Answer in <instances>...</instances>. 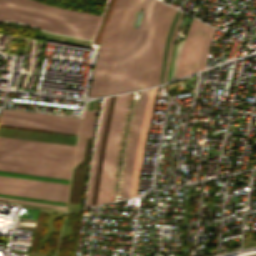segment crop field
<instances>
[{"label":"crop field","mask_w":256,"mask_h":256,"mask_svg":"<svg viewBox=\"0 0 256 256\" xmlns=\"http://www.w3.org/2000/svg\"><path fill=\"white\" fill-rule=\"evenodd\" d=\"M74 149L0 139V170L69 179Z\"/></svg>","instance_id":"3"},{"label":"crop field","mask_w":256,"mask_h":256,"mask_svg":"<svg viewBox=\"0 0 256 256\" xmlns=\"http://www.w3.org/2000/svg\"><path fill=\"white\" fill-rule=\"evenodd\" d=\"M215 29L212 27L209 28L208 33L206 35L204 45L202 48V53H201V58H200V64H199V69H203L205 67V63L207 61V54H208V48L210 46L211 39L213 37Z\"/></svg>","instance_id":"12"},{"label":"crop field","mask_w":256,"mask_h":256,"mask_svg":"<svg viewBox=\"0 0 256 256\" xmlns=\"http://www.w3.org/2000/svg\"><path fill=\"white\" fill-rule=\"evenodd\" d=\"M124 95H126V94L116 96L114 108H113V103H114L115 96L111 97V99H110L108 114H107V118H106L103 138H102L101 152H100L98 170H97V175H96V181H95L92 204L96 203V199H97V192H98V186H99V179H100V172H101L104 146H105L106 136H107V132H108L111 112H112V108H113L111 123H110L108 137H107L106 146H105V152H104V159H103V165H102V172H101V179H100V186H99L97 204H101V203L105 202L108 179H109V172H110V166H111V160H112L114 144H115V139H116V134H117V129H118V124H119V119H120V114H121V108H122ZM127 97H128V95L125 96V98H124L122 114H121V119H120V124H119L116 144H115L113 160H112V166H111V172H110V179H109L106 201L109 200V197H110V191H111V184H112V178H113L117 148H118L119 138H120L122 124H123V118H124V113H125V108H126ZM94 205H96V204H94Z\"/></svg>","instance_id":"4"},{"label":"crop field","mask_w":256,"mask_h":256,"mask_svg":"<svg viewBox=\"0 0 256 256\" xmlns=\"http://www.w3.org/2000/svg\"><path fill=\"white\" fill-rule=\"evenodd\" d=\"M183 40L178 44V50H177V54H176V60H175V65H174V69H173L172 79L175 78V76H176L177 67H178V63H179V58H180V54H181V46H182Z\"/></svg>","instance_id":"19"},{"label":"crop field","mask_w":256,"mask_h":256,"mask_svg":"<svg viewBox=\"0 0 256 256\" xmlns=\"http://www.w3.org/2000/svg\"><path fill=\"white\" fill-rule=\"evenodd\" d=\"M176 9L163 4L155 21L149 46L144 88L158 84L165 40Z\"/></svg>","instance_id":"6"},{"label":"crop field","mask_w":256,"mask_h":256,"mask_svg":"<svg viewBox=\"0 0 256 256\" xmlns=\"http://www.w3.org/2000/svg\"><path fill=\"white\" fill-rule=\"evenodd\" d=\"M95 113L84 112L82 119L74 166L82 160L85 137H91Z\"/></svg>","instance_id":"10"},{"label":"crop field","mask_w":256,"mask_h":256,"mask_svg":"<svg viewBox=\"0 0 256 256\" xmlns=\"http://www.w3.org/2000/svg\"><path fill=\"white\" fill-rule=\"evenodd\" d=\"M114 2H115V0H109L108 6H107V8H106V10L104 12V16H103L102 22L100 24V27H99V29L97 31V34H96L93 42H98L99 43L103 26H104L106 20L110 19V15H111V11H112V7H113Z\"/></svg>","instance_id":"14"},{"label":"crop field","mask_w":256,"mask_h":256,"mask_svg":"<svg viewBox=\"0 0 256 256\" xmlns=\"http://www.w3.org/2000/svg\"><path fill=\"white\" fill-rule=\"evenodd\" d=\"M0 197L66 206V203H63V202H56V201H49V200H42V199H34V198H27V197L13 196V195L0 194Z\"/></svg>","instance_id":"16"},{"label":"crop field","mask_w":256,"mask_h":256,"mask_svg":"<svg viewBox=\"0 0 256 256\" xmlns=\"http://www.w3.org/2000/svg\"><path fill=\"white\" fill-rule=\"evenodd\" d=\"M179 13H180V11L177 10V12L175 14V17H174V20H173V23H172V26H171V29H170V32H169L167 40H166L159 84L162 82V79H163V73H164V67H165V62H166L168 45H169V41H170V38H171V35H172V32H173L174 25H175V23L178 19Z\"/></svg>","instance_id":"15"},{"label":"crop field","mask_w":256,"mask_h":256,"mask_svg":"<svg viewBox=\"0 0 256 256\" xmlns=\"http://www.w3.org/2000/svg\"><path fill=\"white\" fill-rule=\"evenodd\" d=\"M81 118L2 109L0 124L77 133Z\"/></svg>","instance_id":"7"},{"label":"crop field","mask_w":256,"mask_h":256,"mask_svg":"<svg viewBox=\"0 0 256 256\" xmlns=\"http://www.w3.org/2000/svg\"><path fill=\"white\" fill-rule=\"evenodd\" d=\"M146 1L147 0H130L127 5L119 40H118L115 63H114V68H113L112 77H111V84H110L108 94L116 93L118 90L133 11L134 9L143 10ZM161 5L162 3L156 0H148L147 2L142 25L139 31V36H138V41H137V46H136V51L134 55V60H133V65H132V70H131L127 91L138 89L141 62H147L150 35H151L155 18L161 8ZM139 10L134 11L131 26L139 27L142 13H143V11H139ZM137 31L138 29H134V28L130 29L128 46H127V51H126V56H125V61H124V66H123V71H122V76H121V81H120V86L118 91L125 90L126 88L133 50H134L136 36H137ZM144 67H145V63H142L140 83H139V87L141 86V88L143 84Z\"/></svg>","instance_id":"1"},{"label":"crop field","mask_w":256,"mask_h":256,"mask_svg":"<svg viewBox=\"0 0 256 256\" xmlns=\"http://www.w3.org/2000/svg\"><path fill=\"white\" fill-rule=\"evenodd\" d=\"M127 3L128 0H116L111 19L104 26L90 88V97L104 95L108 92L116 44Z\"/></svg>","instance_id":"5"},{"label":"crop field","mask_w":256,"mask_h":256,"mask_svg":"<svg viewBox=\"0 0 256 256\" xmlns=\"http://www.w3.org/2000/svg\"><path fill=\"white\" fill-rule=\"evenodd\" d=\"M182 12L180 13V16H179V19L175 25V28H174V32H173V35H172V38H171V42H170V46H169V50H168V56H167V62H166V68H165V74H164V82H166V78H167V72H168V66H169V60H170V54H171V48H172V43H173V40H174V36H175V33L178 29V26H179V23H180V20H181V17H182Z\"/></svg>","instance_id":"17"},{"label":"crop field","mask_w":256,"mask_h":256,"mask_svg":"<svg viewBox=\"0 0 256 256\" xmlns=\"http://www.w3.org/2000/svg\"><path fill=\"white\" fill-rule=\"evenodd\" d=\"M156 91H157V87L152 88V90L149 91V94H148L145 116H144L141 133L139 137V142L137 146L136 161H135V167H134V173H133V179H132L129 197L137 195L143 156H144L149 126H150Z\"/></svg>","instance_id":"9"},{"label":"crop field","mask_w":256,"mask_h":256,"mask_svg":"<svg viewBox=\"0 0 256 256\" xmlns=\"http://www.w3.org/2000/svg\"><path fill=\"white\" fill-rule=\"evenodd\" d=\"M105 99H104V103H103V110H104V105H105ZM103 110H102V114H101V118H100V124H99V129H98V133H97V141H96V144H95V152H94L92 169H91V175H90V181H89V188H88V194H87L86 207H87V204H88V198H89V192H90V186H91V180H92V174H93V168H94V162H95V156H96V150H97V144H98V138H99V132H100V127H101V121H102V116H103Z\"/></svg>","instance_id":"18"},{"label":"crop field","mask_w":256,"mask_h":256,"mask_svg":"<svg viewBox=\"0 0 256 256\" xmlns=\"http://www.w3.org/2000/svg\"><path fill=\"white\" fill-rule=\"evenodd\" d=\"M99 18L33 0H0V21L15 20L63 35L92 39Z\"/></svg>","instance_id":"2"},{"label":"crop field","mask_w":256,"mask_h":256,"mask_svg":"<svg viewBox=\"0 0 256 256\" xmlns=\"http://www.w3.org/2000/svg\"><path fill=\"white\" fill-rule=\"evenodd\" d=\"M0 175L13 176V177H20V178H28V179H36V180H43V181H51V182H58V183H66V184H69V180H66V179H58V178H51V177H43V176H36V175H29V174H21V173H14V172L0 171Z\"/></svg>","instance_id":"11"},{"label":"crop field","mask_w":256,"mask_h":256,"mask_svg":"<svg viewBox=\"0 0 256 256\" xmlns=\"http://www.w3.org/2000/svg\"><path fill=\"white\" fill-rule=\"evenodd\" d=\"M109 99H110V97H107L106 107H105V112H104V117H103V122H102V128H101V133H100V138H99V144H98V150H97V156H96V162H95V168H94V174H93V180H92V186H91V192H90V198H89L88 206L91 205V201H92V194H93V187H94V181H95V175H96V169H97V163H98V157H99V151H100V144H101L102 132H103V127H104V122H105V117H106V112H107Z\"/></svg>","instance_id":"13"},{"label":"crop field","mask_w":256,"mask_h":256,"mask_svg":"<svg viewBox=\"0 0 256 256\" xmlns=\"http://www.w3.org/2000/svg\"><path fill=\"white\" fill-rule=\"evenodd\" d=\"M208 30V26L192 20L186 39L182 46V54L178 67L177 77L196 72L202 44Z\"/></svg>","instance_id":"8"}]
</instances>
